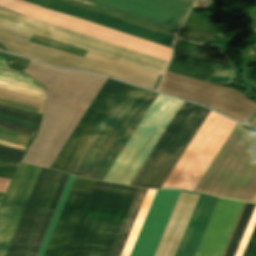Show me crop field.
I'll list each match as a JSON object with an SVG mask.
<instances>
[{
	"label": "crop field",
	"mask_w": 256,
	"mask_h": 256,
	"mask_svg": "<svg viewBox=\"0 0 256 256\" xmlns=\"http://www.w3.org/2000/svg\"><path fill=\"white\" fill-rule=\"evenodd\" d=\"M156 93L107 79L50 166L69 169L102 115L121 114L133 118L144 100L152 102ZM142 104L133 119L115 114L102 116L68 173L101 180L108 167L150 105Z\"/></svg>",
	"instance_id": "8a807250"
},
{
	"label": "crop field",
	"mask_w": 256,
	"mask_h": 256,
	"mask_svg": "<svg viewBox=\"0 0 256 256\" xmlns=\"http://www.w3.org/2000/svg\"><path fill=\"white\" fill-rule=\"evenodd\" d=\"M171 48L173 37L133 23L56 0H26ZM22 0H0V6L25 16L71 29L169 61L171 49L79 18L42 8Z\"/></svg>",
	"instance_id": "ac0d7876"
},
{
	"label": "crop field",
	"mask_w": 256,
	"mask_h": 256,
	"mask_svg": "<svg viewBox=\"0 0 256 256\" xmlns=\"http://www.w3.org/2000/svg\"><path fill=\"white\" fill-rule=\"evenodd\" d=\"M27 36V33L19 32L0 24V42L4 45V50L17 55L64 67L86 69L110 75L124 81L151 89L153 88L159 76L158 74H154L97 54H93L87 51L85 53L84 50L64 45L55 41L31 34H29L28 37ZM25 38L26 41L60 50L76 56L82 57V55L84 53L85 54L82 58L76 57L70 54L26 42L24 41ZM1 43L0 45L2 46ZM160 78L161 75L159 76L153 88L154 90Z\"/></svg>",
	"instance_id": "34b2d1b8"
},
{
	"label": "crop field",
	"mask_w": 256,
	"mask_h": 256,
	"mask_svg": "<svg viewBox=\"0 0 256 256\" xmlns=\"http://www.w3.org/2000/svg\"><path fill=\"white\" fill-rule=\"evenodd\" d=\"M137 188L96 182L82 221L120 227L125 220ZM77 227L66 256H109L120 229L81 222Z\"/></svg>",
	"instance_id": "412701ff"
},
{
	"label": "crop field",
	"mask_w": 256,
	"mask_h": 256,
	"mask_svg": "<svg viewBox=\"0 0 256 256\" xmlns=\"http://www.w3.org/2000/svg\"><path fill=\"white\" fill-rule=\"evenodd\" d=\"M209 111L183 101L130 185L160 188Z\"/></svg>",
	"instance_id": "f4fd0767"
},
{
	"label": "crop field",
	"mask_w": 256,
	"mask_h": 256,
	"mask_svg": "<svg viewBox=\"0 0 256 256\" xmlns=\"http://www.w3.org/2000/svg\"><path fill=\"white\" fill-rule=\"evenodd\" d=\"M0 23L13 29L42 36L163 74L168 62L74 31L28 19L0 8Z\"/></svg>",
	"instance_id": "dd49c442"
},
{
	"label": "crop field",
	"mask_w": 256,
	"mask_h": 256,
	"mask_svg": "<svg viewBox=\"0 0 256 256\" xmlns=\"http://www.w3.org/2000/svg\"><path fill=\"white\" fill-rule=\"evenodd\" d=\"M235 125L210 111L161 188L193 191Z\"/></svg>",
	"instance_id": "e52e79f7"
},
{
	"label": "crop field",
	"mask_w": 256,
	"mask_h": 256,
	"mask_svg": "<svg viewBox=\"0 0 256 256\" xmlns=\"http://www.w3.org/2000/svg\"><path fill=\"white\" fill-rule=\"evenodd\" d=\"M186 192V191H183ZM181 192L174 211L162 236L160 244L154 256H194L208 220L218 198L204 194Z\"/></svg>",
	"instance_id": "d8731c3e"
},
{
	"label": "crop field",
	"mask_w": 256,
	"mask_h": 256,
	"mask_svg": "<svg viewBox=\"0 0 256 256\" xmlns=\"http://www.w3.org/2000/svg\"><path fill=\"white\" fill-rule=\"evenodd\" d=\"M84 7L109 13L141 25L176 35L185 15L193 4L191 0H64Z\"/></svg>",
	"instance_id": "5a996713"
},
{
	"label": "crop field",
	"mask_w": 256,
	"mask_h": 256,
	"mask_svg": "<svg viewBox=\"0 0 256 256\" xmlns=\"http://www.w3.org/2000/svg\"><path fill=\"white\" fill-rule=\"evenodd\" d=\"M59 172L41 169L6 256H24ZM68 174H62L29 256H35Z\"/></svg>",
	"instance_id": "3316defc"
},
{
	"label": "crop field",
	"mask_w": 256,
	"mask_h": 256,
	"mask_svg": "<svg viewBox=\"0 0 256 256\" xmlns=\"http://www.w3.org/2000/svg\"><path fill=\"white\" fill-rule=\"evenodd\" d=\"M206 59L233 65L221 51L199 47L176 39L167 71L210 83L231 82L233 66Z\"/></svg>",
	"instance_id": "28ad6ade"
},
{
	"label": "crop field",
	"mask_w": 256,
	"mask_h": 256,
	"mask_svg": "<svg viewBox=\"0 0 256 256\" xmlns=\"http://www.w3.org/2000/svg\"><path fill=\"white\" fill-rule=\"evenodd\" d=\"M41 168L20 163L5 193H0V256H5Z\"/></svg>",
	"instance_id": "d1516ede"
},
{
	"label": "crop field",
	"mask_w": 256,
	"mask_h": 256,
	"mask_svg": "<svg viewBox=\"0 0 256 256\" xmlns=\"http://www.w3.org/2000/svg\"><path fill=\"white\" fill-rule=\"evenodd\" d=\"M180 191L157 190L130 256H153Z\"/></svg>",
	"instance_id": "22f410ed"
},
{
	"label": "crop field",
	"mask_w": 256,
	"mask_h": 256,
	"mask_svg": "<svg viewBox=\"0 0 256 256\" xmlns=\"http://www.w3.org/2000/svg\"><path fill=\"white\" fill-rule=\"evenodd\" d=\"M242 204L218 199L195 256H221Z\"/></svg>",
	"instance_id": "cbeb9de0"
},
{
	"label": "crop field",
	"mask_w": 256,
	"mask_h": 256,
	"mask_svg": "<svg viewBox=\"0 0 256 256\" xmlns=\"http://www.w3.org/2000/svg\"><path fill=\"white\" fill-rule=\"evenodd\" d=\"M90 194L70 190L43 256H65Z\"/></svg>",
	"instance_id": "5142ce71"
},
{
	"label": "crop field",
	"mask_w": 256,
	"mask_h": 256,
	"mask_svg": "<svg viewBox=\"0 0 256 256\" xmlns=\"http://www.w3.org/2000/svg\"><path fill=\"white\" fill-rule=\"evenodd\" d=\"M254 206L255 205H251V204L246 205L245 210L242 214L240 222L237 226V229L235 231V234L233 236V239L230 243V246H229L228 251H227L225 256H234V254L236 252V249L238 247V244H239V242L241 240V237L243 235V232L245 230V227H246V225L248 223V220L250 218V215L253 211ZM255 224H256V206H255L254 211L251 215V218H250L249 223L246 227V230L244 232V235L242 237V240L239 244V247L237 249V252H236L235 256H242L243 255L244 250H245L246 245L249 241V238L251 236V233L253 231V228H254Z\"/></svg>",
	"instance_id": "d9b57169"
},
{
	"label": "crop field",
	"mask_w": 256,
	"mask_h": 256,
	"mask_svg": "<svg viewBox=\"0 0 256 256\" xmlns=\"http://www.w3.org/2000/svg\"><path fill=\"white\" fill-rule=\"evenodd\" d=\"M146 191L147 190H145V189H141V188L138 189V191L136 193V196L134 198V201H133V203L131 205V208L129 210V213H128V215L126 217V220H125V222L123 224V227L121 229V232H120V234L118 236V239L116 241V244H115V246L113 248L111 256H119L120 255V252H121V250L123 248L125 240H126V238L128 236V233H129V231L131 229V226L133 224V221H134V219L136 217V214H137V212L139 210V207H140V205L142 203V200L144 198V195H145Z\"/></svg>",
	"instance_id": "733c2abd"
},
{
	"label": "crop field",
	"mask_w": 256,
	"mask_h": 256,
	"mask_svg": "<svg viewBox=\"0 0 256 256\" xmlns=\"http://www.w3.org/2000/svg\"><path fill=\"white\" fill-rule=\"evenodd\" d=\"M156 190H148L120 256H129Z\"/></svg>",
	"instance_id": "4a817a6b"
},
{
	"label": "crop field",
	"mask_w": 256,
	"mask_h": 256,
	"mask_svg": "<svg viewBox=\"0 0 256 256\" xmlns=\"http://www.w3.org/2000/svg\"><path fill=\"white\" fill-rule=\"evenodd\" d=\"M74 178H75V177H74V176H71V175H70L69 178H68V181H67V183H66V185H65V188H64V190H63V193H62V195H61V197H60V200H59V202H58V205H57V207H56V209H55V212H54V214H53V217H52V219H51V221H50V224H49V226H48V229H47V231H46V233H45V236H44V238H43V241H42V243H41V246H40L39 251H38V253H37L36 256H42L43 253H44V250H45L46 245H47V243H48V241H49V238H50V236H51V233H52L53 228H54V226H55V224H56V221H57L58 216H59V214H60V212H61V209H62V207H63V204H64V202H65V199H66L67 195H68V192H69V190H70V187H71V185H72V183H73Z\"/></svg>",
	"instance_id": "bc2a9ffb"
},
{
	"label": "crop field",
	"mask_w": 256,
	"mask_h": 256,
	"mask_svg": "<svg viewBox=\"0 0 256 256\" xmlns=\"http://www.w3.org/2000/svg\"><path fill=\"white\" fill-rule=\"evenodd\" d=\"M0 114L10 116L13 118H17L23 121L31 122V123H36L39 124L41 115L38 114H32V113H27L7 107L0 106Z\"/></svg>",
	"instance_id": "214f88e0"
},
{
	"label": "crop field",
	"mask_w": 256,
	"mask_h": 256,
	"mask_svg": "<svg viewBox=\"0 0 256 256\" xmlns=\"http://www.w3.org/2000/svg\"><path fill=\"white\" fill-rule=\"evenodd\" d=\"M24 152L0 145V158L19 163Z\"/></svg>",
	"instance_id": "92a150f3"
},
{
	"label": "crop field",
	"mask_w": 256,
	"mask_h": 256,
	"mask_svg": "<svg viewBox=\"0 0 256 256\" xmlns=\"http://www.w3.org/2000/svg\"><path fill=\"white\" fill-rule=\"evenodd\" d=\"M18 164L0 160V177L11 179Z\"/></svg>",
	"instance_id": "dafd665d"
},
{
	"label": "crop field",
	"mask_w": 256,
	"mask_h": 256,
	"mask_svg": "<svg viewBox=\"0 0 256 256\" xmlns=\"http://www.w3.org/2000/svg\"><path fill=\"white\" fill-rule=\"evenodd\" d=\"M0 128L6 129V130H10V131H14V132H18V133H22L28 136L33 137V135L36 133V130H32V129H28V128H24L18 125H14L8 122H4V121H0Z\"/></svg>",
	"instance_id": "00972430"
},
{
	"label": "crop field",
	"mask_w": 256,
	"mask_h": 256,
	"mask_svg": "<svg viewBox=\"0 0 256 256\" xmlns=\"http://www.w3.org/2000/svg\"><path fill=\"white\" fill-rule=\"evenodd\" d=\"M0 87L4 88V89H7V90L14 91V92L26 94V95L33 96V97H36V98H40V99L45 98L44 95L29 91V90H25V89H22V88L12 87V86H8V85L1 84V83H0Z\"/></svg>",
	"instance_id": "a9b5d70f"
},
{
	"label": "crop field",
	"mask_w": 256,
	"mask_h": 256,
	"mask_svg": "<svg viewBox=\"0 0 256 256\" xmlns=\"http://www.w3.org/2000/svg\"><path fill=\"white\" fill-rule=\"evenodd\" d=\"M243 256H256V226Z\"/></svg>",
	"instance_id": "4177f3b9"
},
{
	"label": "crop field",
	"mask_w": 256,
	"mask_h": 256,
	"mask_svg": "<svg viewBox=\"0 0 256 256\" xmlns=\"http://www.w3.org/2000/svg\"><path fill=\"white\" fill-rule=\"evenodd\" d=\"M0 119L11 122V123H15V124H18V125H21V126H24V127L36 129V130L38 129V126H39V125H36V124L26 123V122H23V121H20V120H17V119H13V118H10V117H6V116H3V115H0Z\"/></svg>",
	"instance_id": "730fd06b"
},
{
	"label": "crop field",
	"mask_w": 256,
	"mask_h": 256,
	"mask_svg": "<svg viewBox=\"0 0 256 256\" xmlns=\"http://www.w3.org/2000/svg\"><path fill=\"white\" fill-rule=\"evenodd\" d=\"M246 123L256 127V112L251 116V118Z\"/></svg>",
	"instance_id": "eef30255"
},
{
	"label": "crop field",
	"mask_w": 256,
	"mask_h": 256,
	"mask_svg": "<svg viewBox=\"0 0 256 256\" xmlns=\"http://www.w3.org/2000/svg\"><path fill=\"white\" fill-rule=\"evenodd\" d=\"M197 2H201V3H205V4L211 5L214 2V0H197Z\"/></svg>",
	"instance_id": "ae1a2a85"
},
{
	"label": "crop field",
	"mask_w": 256,
	"mask_h": 256,
	"mask_svg": "<svg viewBox=\"0 0 256 256\" xmlns=\"http://www.w3.org/2000/svg\"><path fill=\"white\" fill-rule=\"evenodd\" d=\"M251 202L256 203V194H255V196L253 197V199L251 200Z\"/></svg>",
	"instance_id": "d3111659"
}]
</instances>
